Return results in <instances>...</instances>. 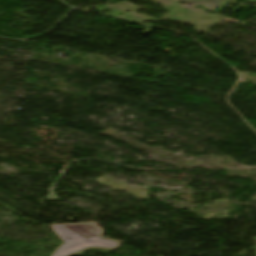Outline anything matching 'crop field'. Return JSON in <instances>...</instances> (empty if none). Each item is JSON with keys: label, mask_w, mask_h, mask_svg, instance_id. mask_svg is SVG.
I'll return each mask as SVG.
<instances>
[{"label": "crop field", "mask_w": 256, "mask_h": 256, "mask_svg": "<svg viewBox=\"0 0 256 256\" xmlns=\"http://www.w3.org/2000/svg\"><path fill=\"white\" fill-rule=\"evenodd\" d=\"M60 238L67 242L60 247L53 256H58L65 246H69L85 239L121 245L120 242H113L101 239L99 234L102 232L96 223L93 224H72V225H50Z\"/></svg>", "instance_id": "crop-field-1"}, {"label": "crop field", "mask_w": 256, "mask_h": 256, "mask_svg": "<svg viewBox=\"0 0 256 256\" xmlns=\"http://www.w3.org/2000/svg\"><path fill=\"white\" fill-rule=\"evenodd\" d=\"M88 246H101V247H111V248H118L120 246L118 245H112V244H106V243H100V242H94L90 240H85L83 242H80L78 244L65 247L64 250L60 253L59 256H68L71 255L72 253L81 250L83 248H86Z\"/></svg>", "instance_id": "crop-field-2"}, {"label": "crop field", "mask_w": 256, "mask_h": 256, "mask_svg": "<svg viewBox=\"0 0 256 256\" xmlns=\"http://www.w3.org/2000/svg\"><path fill=\"white\" fill-rule=\"evenodd\" d=\"M191 6H200L203 4L205 8L213 11L223 0H176Z\"/></svg>", "instance_id": "crop-field-3"}]
</instances>
